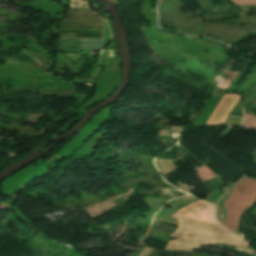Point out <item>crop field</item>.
<instances>
[{
    "label": "crop field",
    "instance_id": "obj_1",
    "mask_svg": "<svg viewBox=\"0 0 256 256\" xmlns=\"http://www.w3.org/2000/svg\"><path fill=\"white\" fill-rule=\"evenodd\" d=\"M172 218L178 219V230L176 234L171 233V237H180L170 241L166 250L188 251L197 249L208 243H220L221 241L240 245L248 248L244 238L232 233L228 229L200 221L172 214Z\"/></svg>",
    "mask_w": 256,
    "mask_h": 256
},
{
    "label": "crop field",
    "instance_id": "obj_2",
    "mask_svg": "<svg viewBox=\"0 0 256 256\" xmlns=\"http://www.w3.org/2000/svg\"><path fill=\"white\" fill-rule=\"evenodd\" d=\"M255 200L256 181L244 178L235 185L227 199L223 202L228 219L221 223L236 232L240 214L247 207H252Z\"/></svg>",
    "mask_w": 256,
    "mask_h": 256
},
{
    "label": "crop field",
    "instance_id": "obj_3",
    "mask_svg": "<svg viewBox=\"0 0 256 256\" xmlns=\"http://www.w3.org/2000/svg\"><path fill=\"white\" fill-rule=\"evenodd\" d=\"M238 99V96L223 95L206 125L224 123L226 117L232 110L233 106L237 103Z\"/></svg>",
    "mask_w": 256,
    "mask_h": 256
},
{
    "label": "crop field",
    "instance_id": "obj_4",
    "mask_svg": "<svg viewBox=\"0 0 256 256\" xmlns=\"http://www.w3.org/2000/svg\"><path fill=\"white\" fill-rule=\"evenodd\" d=\"M221 96L219 97H211L208 103L205 105L199 116L196 118V122L206 123L209 116L211 115L212 111L214 110L215 106L217 105L218 101L220 100Z\"/></svg>",
    "mask_w": 256,
    "mask_h": 256
},
{
    "label": "crop field",
    "instance_id": "obj_5",
    "mask_svg": "<svg viewBox=\"0 0 256 256\" xmlns=\"http://www.w3.org/2000/svg\"><path fill=\"white\" fill-rule=\"evenodd\" d=\"M209 206L208 204L202 202V201H195L189 205H187L186 207L182 208L181 210L177 211L176 214H180L183 216H189L205 207Z\"/></svg>",
    "mask_w": 256,
    "mask_h": 256
},
{
    "label": "crop field",
    "instance_id": "obj_6",
    "mask_svg": "<svg viewBox=\"0 0 256 256\" xmlns=\"http://www.w3.org/2000/svg\"><path fill=\"white\" fill-rule=\"evenodd\" d=\"M192 218L218 223L214 216V208L212 206L190 216ZM219 224V223H218Z\"/></svg>",
    "mask_w": 256,
    "mask_h": 256
},
{
    "label": "crop field",
    "instance_id": "obj_7",
    "mask_svg": "<svg viewBox=\"0 0 256 256\" xmlns=\"http://www.w3.org/2000/svg\"><path fill=\"white\" fill-rule=\"evenodd\" d=\"M236 6L245 4H256V0H231Z\"/></svg>",
    "mask_w": 256,
    "mask_h": 256
},
{
    "label": "crop field",
    "instance_id": "obj_8",
    "mask_svg": "<svg viewBox=\"0 0 256 256\" xmlns=\"http://www.w3.org/2000/svg\"><path fill=\"white\" fill-rule=\"evenodd\" d=\"M222 211L221 208L219 206H217V216H218V220L221 221L222 219Z\"/></svg>",
    "mask_w": 256,
    "mask_h": 256
}]
</instances>
